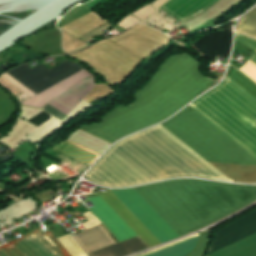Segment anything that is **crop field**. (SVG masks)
<instances>
[{
	"label": "crop field",
	"mask_w": 256,
	"mask_h": 256,
	"mask_svg": "<svg viewBox=\"0 0 256 256\" xmlns=\"http://www.w3.org/2000/svg\"><path fill=\"white\" fill-rule=\"evenodd\" d=\"M189 107L256 157V99L231 79ZM194 110L186 107L160 125L209 164L256 165L254 156ZM160 125L114 145L86 178L110 187L183 176L229 181Z\"/></svg>",
	"instance_id": "1"
},
{
	"label": "crop field",
	"mask_w": 256,
	"mask_h": 256,
	"mask_svg": "<svg viewBox=\"0 0 256 256\" xmlns=\"http://www.w3.org/2000/svg\"><path fill=\"white\" fill-rule=\"evenodd\" d=\"M214 83L201 75L199 64L191 57H173L137 92L133 105L118 106L102 123L84 125L81 130L114 143L174 114Z\"/></svg>",
	"instance_id": "2"
},
{
	"label": "crop field",
	"mask_w": 256,
	"mask_h": 256,
	"mask_svg": "<svg viewBox=\"0 0 256 256\" xmlns=\"http://www.w3.org/2000/svg\"><path fill=\"white\" fill-rule=\"evenodd\" d=\"M180 236L249 205L256 186L179 179L134 188Z\"/></svg>",
	"instance_id": "3"
},
{
	"label": "crop field",
	"mask_w": 256,
	"mask_h": 256,
	"mask_svg": "<svg viewBox=\"0 0 256 256\" xmlns=\"http://www.w3.org/2000/svg\"><path fill=\"white\" fill-rule=\"evenodd\" d=\"M111 192L160 243L179 237L133 189ZM111 192L93 195L100 196L149 247L160 244Z\"/></svg>",
	"instance_id": "4"
},
{
	"label": "crop field",
	"mask_w": 256,
	"mask_h": 256,
	"mask_svg": "<svg viewBox=\"0 0 256 256\" xmlns=\"http://www.w3.org/2000/svg\"><path fill=\"white\" fill-rule=\"evenodd\" d=\"M88 200L95 206L90 210L106 225L119 242L137 236L100 197H90ZM145 248L148 246L137 236L88 254V256H124Z\"/></svg>",
	"instance_id": "5"
},
{
	"label": "crop field",
	"mask_w": 256,
	"mask_h": 256,
	"mask_svg": "<svg viewBox=\"0 0 256 256\" xmlns=\"http://www.w3.org/2000/svg\"><path fill=\"white\" fill-rule=\"evenodd\" d=\"M83 69L66 60L50 70L41 64L30 69L26 63L7 73L37 94Z\"/></svg>",
	"instance_id": "6"
},
{
	"label": "crop field",
	"mask_w": 256,
	"mask_h": 256,
	"mask_svg": "<svg viewBox=\"0 0 256 256\" xmlns=\"http://www.w3.org/2000/svg\"><path fill=\"white\" fill-rule=\"evenodd\" d=\"M0 256H70L53 234L39 229L0 247Z\"/></svg>",
	"instance_id": "7"
},
{
	"label": "crop field",
	"mask_w": 256,
	"mask_h": 256,
	"mask_svg": "<svg viewBox=\"0 0 256 256\" xmlns=\"http://www.w3.org/2000/svg\"><path fill=\"white\" fill-rule=\"evenodd\" d=\"M256 233V211L217 231L208 254Z\"/></svg>",
	"instance_id": "8"
},
{
	"label": "crop field",
	"mask_w": 256,
	"mask_h": 256,
	"mask_svg": "<svg viewBox=\"0 0 256 256\" xmlns=\"http://www.w3.org/2000/svg\"><path fill=\"white\" fill-rule=\"evenodd\" d=\"M231 23L232 21L219 27L226 29L224 32L208 33L193 46L213 63L218 55L228 58L231 44Z\"/></svg>",
	"instance_id": "9"
},
{
	"label": "crop field",
	"mask_w": 256,
	"mask_h": 256,
	"mask_svg": "<svg viewBox=\"0 0 256 256\" xmlns=\"http://www.w3.org/2000/svg\"><path fill=\"white\" fill-rule=\"evenodd\" d=\"M217 0H170L160 7L182 23L200 14Z\"/></svg>",
	"instance_id": "10"
},
{
	"label": "crop field",
	"mask_w": 256,
	"mask_h": 256,
	"mask_svg": "<svg viewBox=\"0 0 256 256\" xmlns=\"http://www.w3.org/2000/svg\"><path fill=\"white\" fill-rule=\"evenodd\" d=\"M195 236H197V235H195ZM192 237H194V236H192ZM192 237H189V238H192ZM198 237H194L192 239L186 238V239H189V240L183 239V240L174 242L170 245L176 244V243L184 241V240H186V241L178 243V244L173 245V246L168 245L170 247L164 246L162 248L156 249L154 251H151L149 253H146V254H143V255H140V256L151 254V253L156 252V251H158L160 249H163L165 247H168V248H165L163 250H160L156 253H153V254L147 255V256H185L193 250V248H194V246L197 242Z\"/></svg>",
	"instance_id": "11"
},
{
	"label": "crop field",
	"mask_w": 256,
	"mask_h": 256,
	"mask_svg": "<svg viewBox=\"0 0 256 256\" xmlns=\"http://www.w3.org/2000/svg\"><path fill=\"white\" fill-rule=\"evenodd\" d=\"M236 30L256 38V7L240 19Z\"/></svg>",
	"instance_id": "12"
},
{
	"label": "crop field",
	"mask_w": 256,
	"mask_h": 256,
	"mask_svg": "<svg viewBox=\"0 0 256 256\" xmlns=\"http://www.w3.org/2000/svg\"><path fill=\"white\" fill-rule=\"evenodd\" d=\"M227 76L256 98V85L247 79L244 75L230 66Z\"/></svg>",
	"instance_id": "13"
},
{
	"label": "crop field",
	"mask_w": 256,
	"mask_h": 256,
	"mask_svg": "<svg viewBox=\"0 0 256 256\" xmlns=\"http://www.w3.org/2000/svg\"><path fill=\"white\" fill-rule=\"evenodd\" d=\"M212 232H204L201 234L198 243L192 253L187 256H202L207 243L210 241V236Z\"/></svg>",
	"instance_id": "14"
},
{
	"label": "crop field",
	"mask_w": 256,
	"mask_h": 256,
	"mask_svg": "<svg viewBox=\"0 0 256 256\" xmlns=\"http://www.w3.org/2000/svg\"><path fill=\"white\" fill-rule=\"evenodd\" d=\"M235 40L255 51L249 60L256 64V41L238 32H236Z\"/></svg>",
	"instance_id": "15"
},
{
	"label": "crop field",
	"mask_w": 256,
	"mask_h": 256,
	"mask_svg": "<svg viewBox=\"0 0 256 256\" xmlns=\"http://www.w3.org/2000/svg\"><path fill=\"white\" fill-rule=\"evenodd\" d=\"M239 71L256 83V65L251 61L248 60Z\"/></svg>",
	"instance_id": "16"
},
{
	"label": "crop field",
	"mask_w": 256,
	"mask_h": 256,
	"mask_svg": "<svg viewBox=\"0 0 256 256\" xmlns=\"http://www.w3.org/2000/svg\"><path fill=\"white\" fill-rule=\"evenodd\" d=\"M49 118H50V116L43 111V112L39 113L38 115H36L35 117L31 118L29 121H31L32 123H34L36 125H40L43 122H45L46 120H48Z\"/></svg>",
	"instance_id": "17"
},
{
	"label": "crop field",
	"mask_w": 256,
	"mask_h": 256,
	"mask_svg": "<svg viewBox=\"0 0 256 256\" xmlns=\"http://www.w3.org/2000/svg\"><path fill=\"white\" fill-rule=\"evenodd\" d=\"M82 215L88 220L87 222L81 224L86 229L91 228V227L96 226V225H99V223L88 212H86Z\"/></svg>",
	"instance_id": "18"
}]
</instances>
